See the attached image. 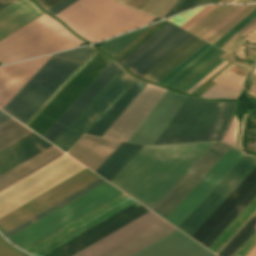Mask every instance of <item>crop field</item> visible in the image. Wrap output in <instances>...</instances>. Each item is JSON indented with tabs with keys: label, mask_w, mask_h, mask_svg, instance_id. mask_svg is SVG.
Here are the masks:
<instances>
[{
	"label": "crop field",
	"mask_w": 256,
	"mask_h": 256,
	"mask_svg": "<svg viewBox=\"0 0 256 256\" xmlns=\"http://www.w3.org/2000/svg\"><path fill=\"white\" fill-rule=\"evenodd\" d=\"M214 143L143 147L110 183L152 210Z\"/></svg>",
	"instance_id": "obj_1"
},
{
	"label": "crop field",
	"mask_w": 256,
	"mask_h": 256,
	"mask_svg": "<svg viewBox=\"0 0 256 256\" xmlns=\"http://www.w3.org/2000/svg\"><path fill=\"white\" fill-rule=\"evenodd\" d=\"M56 17L92 43L147 25L156 19L113 0H79Z\"/></svg>",
	"instance_id": "obj_2"
},
{
	"label": "crop field",
	"mask_w": 256,
	"mask_h": 256,
	"mask_svg": "<svg viewBox=\"0 0 256 256\" xmlns=\"http://www.w3.org/2000/svg\"><path fill=\"white\" fill-rule=\"evenodd\" d=\"M235 103L186 96L153 145L221 140Z\"/></svg>",
	"instance_id": "obj_3"
},
{
	"label": "crop field",
	"mask_w": 256,
	"mask_h": 256,
	"mask_svg": "<svg viewBox=\"0 0 256 256\" xmlns=\"http://www.w3.org/2000/svg\"><path fill=\"white\" fill-rule=\"evenodd\" d=\"M93 49L53 55L2 110L24 124Z\"/></svg>",
	"instance_id": "obj_4"
},
{
	"label": "crop field",
	"mask_w": 256,
	"mask_h": 256,
	"mask_svg": "<svg viewBox=\"0 0 256 256\" xmlns=\"http://www.w3.org/2000/svg\"><path fill=\"white\" fill-rule=\"evenodd\" d=\"M83 43L45 14L0 42V63L75 48Z\"/></svg>",
	"instance_id": "obj_5"
},
{
	"label": "crop field",
	"mask_w": 256,
	"mask_h": 256,
	"mask_svg": "<svg viewBox=\"0 0 256 256\" xmlns=\"http://www.w3.org/2000/svg\"><path fill=\"white\" fill-rule=\"evenodd\" d=\"M120 193L105 182L7 239L24 250Z\"/></svg>",
	"instance_id": "obj_6"
},
{
	"label": "crop field",
	"mask_w": 256,
	"mask_h": 256,
	"mask_svg": "<svg viewBox=\"0 0 256 256\" xmlns=\"http://www.w3.org/2000/svg\"><path fill=\"white\" fill-rule=\"evenodd\" d=\"M111 61L98 51L28 127L42 136Z\"/></svg>",
	"instance_id": "obj_7"
},
{
	"label": "crop field",
	"mask_w": 256,
	"mask_h": 256,
	"mask_svg": "<svg viewBox=\"0 0 256 256\" xmlns=\"http://www.w3.org/2000/svg\"><path fill=\"white\" fill-rule=\"evenodd\" d=\"M133 79L121 68L52 144L67 152Z\"/></svg>",
	"instance_id": "obj_8"
},
{
	"label": "crop field",
	"mask_w": 256,
	"mask_h": 256,
	"mask_svg": "<svg viewBox=\"0 0 256 256\" xmlns=\"http://www.w3.org/2000/svg\"><path fill=\"white\" fill-rule=\"evenodd\" d=\"M191 35L168 22L120 62L140 77Z\"/></svg>",
	"instance_id": "obj_9"
},
{
	"label": "crop field",
	"mask_w": 256,
	"mask_h": 256,
	"mask_svg": "<svg viewBox=\"0 0 256 256\" xmlns=\"http://www.w3.org/2000/svg\"><path fill=\"white\" fill-rule=\"evenodd\" d=\"M98 178L100 177L87 169L80 172L74 177L1 218L0 232L3 234L9 231Z\"/></svg>",
	"instance_id": "obj_10"
},
{
	"label": "crop field",
	"mask_w": 256,
	"mask_h": 256,
	"mask_svg": "<svg viewBox=\"0 0 256 256\" xmlns=\"http://www.w3.org/2000/svg\"><path fill=\"white\" fill-rule=\"evenodd\" d=\"M245 156L232 147L165 220L178 228Z\"/></svg>",
	"instance_id": "obj_11"
},
{
	"label": "crop field",
	"mask_w": 256,
	"mask_h": 256,
	"mask_svg": "<svg viewBox=\"0 0 256 256\" xmlns=\"http://www.w3.org/2000/svg\"><path fill=\"white\" fill-rule=\"evenodd\" d=\"M148 212L136 202L45 256H73Z\"/></svg>",
	"instance_id": "obj_12"
},
{
	"label": "crop field",
	"mask_w": 256,
	"mask_h": 256,
	"mask_svg": "<svg viewBox=\"0 0 256 256\" xmlns=\"http://www.w3.org/2000/svg\"><path fill=\"white\" fill-rule=\"evenodd\" d=\"M230 148L216 142L152 211L165 219Z\"/></svg>",
	"instance_id": "obj_13"
},
{
	"label": "crop field",
	"mask_w": 256,
	"mask_h": 256,
	"mask_svg": "<svg viewBox=\"0 0 256 256\" xmlns=\"http://www.w3.org/2000/svg\"><path fill=\"white\" fill-rule=\"evenodd\" d=\"M255 166L256 159L247 155L178 229L191 236Z\"/></svg>",
	"instance_id": "obj_14"
},
{
	"label": "crop field",
	"mask_w": 256,
	"mask_h": 256,
	"mask_svg": "<svg viewBox=\"0 0 256 256\" xmlns=\"http://www.w3.org/2000/svg\"><path fill=\"white\" fill-rule=\"evenodd\" d=\"M165 91L148 84L102 137L127 142Z\"/></svg>",
	"instance_id": "obj_15"
},
{
	"label": "crop field",
	"mask_w": 256,
	"mask_h": 256,
	"mask_svg": "<svg viewBox=\"0 0 256 256\" xmlns=\"http://www.w3.org/2000/svg\"><path fill=\"white\" fill-rule=\"evenodd\" d=\"M183 98L184 95L167 90L128 142L152 145Z\"/></svg>",
	"instance_id": "obj_16"
},
{
	"label": "crop field",
	"mask_w": 256,
	"mask_h": 256,
	"mask_svg": "<svg viewBox=\"0 0 256 256\" xmlns=\"http://www.w3.org/2000/svg\"><path fill=\"white\" fill-rule=\"evenodd\" d=\"M51 56L0 67V108L1 109L27 83V81L44 65V63Z\"/></svg>",
	"instance_id": "obj_17"
},
{
	"label": "crop field",
	"mask_w": 256,
	"mask_h": 256,
	"mask_svg": "<svg viewBox=\"0 0 256 256\" xmlns=\"http://www.w3.org/2000/svg\"><path fill=\"white\" fill-rule=\"evenodd\" d=\"M120 68L112 61L42 137L52 143Z\"/></svg>",
	"instance_id": "obj_18"
},
{
	"label": "crop field",
	"mask_w": 256,
	"mask_h": 256,
	"mask_svg": "<svg viewBox=\"0 0 256 256\" xmlns=\"http://www.w3.org/2000/svg\"><path fill=\"white\" fill-rule=\"evenodd\" d=\"M208 251L177 230L133 256L213 255Z\"/></svg>",
	"instance_id": "obj_19"
},
{
	"label": "crop field",
	"mask_w": 256,
	"mask_h": 256,
	"mask_svg": "<svg viewBox=\"0 0 256 256\" xmlns=\"http://www.w3.org/2000/svg\"><path fill=\"white\" fill-rule=\"evenodd\" d=\"M120 144V142L84 135L68 155L95 172Z\"/></svg>",
	"instance_id": "obj_20"
},
{
	"label": "crop field",
	"mask_w": 256,
	"mask_h": 256,
	"mask_svg": "<svg viewBox=\"0 0 256 256\" xmlns=\"http://www.w3.org/2000/svg\"><path fill=\"white\" fill-rule=\"evenodd\" d=\"M44 13L29 0H17L0 11V41Z\"/></svg>",
	"instance_id": "obj_21"
},
{
	"label": "crop field",
	"mask_w": 256,
	"mask_h": 256,
	"mask_svg": "<svg viewBox=\"0 0 256 256\" xmlns=\"http://www.w3.org/2000/svg\"><path fill=\"white\" fill-rule=\"evenodd\" d=\"M160 220L150 212L74 256H100Z\"/></svg>",
	"instance_id": "obj_22"
},
{
	"label": "crop field",
	"mask_w": 256,
	"mask_h": 256,
	"mask_svg": "<svg viewBox=\"0 0 256 256\" xmlns=\"http://www.w3.org/2000/svg\"><path fill=\"white\" fill-rule=\"evenodd\" d=\"M50 146L52 145L32 133L0 151V175Z\"/></svg>",
	"instance_id": "obj_23"
},
{
	"label": "crop field",
	"mask_w": 256,
	"mask_h": 256,
	"mask_svg": "<svg viewBox=\"0 0 256 256\" xmlns=\"http://www.w3.org/2000/svg\"><path fill=\"white\" fill-rule=\"evenodd\" d=\"M206 43L192 35L141 77L157 83Z\"/></svg>",
	"instance_id": "obj_24"
},
{
	"label": "crop field",
	"mask_w": 256,
	"mask_h": 256,
	"mask_svg": "<svg viewBox=\"0 0 256 256\" xmlns=\"http://www.w3.org/2000/svg\"><path fill=\"white\" fill-rule=\"evenodd\" d=\"M175 230L162 220L101 256H131Z\"/></svg>",
	"instance_id": "obj_25"
},
{
	"label": "crop field",
	"mask_w": 256,
	"mask_h": 256,
	"mask_svg": "<svg viewBox=\"0 0 256 256\" xmlns=\"http://www.w3.org/2000/svg\"><path fill=\"white\" fill-rule=\"evenodd\" d=\"M146 85L136 79L86 134L101 137Z\"/></svg>",
	"instance_id": "obj_26"
},
{
	"label": "crop field",
	"mask_w": 256,
	"mask_h": 256,
	"mask_svg": "<svg viewBox=\"0 0 256 256\" xmlns=\"http://www.w3.org/2000/svg\"><path fill=\"white\" fill-rule=\"evenodd\" d=\"M61 152L52 146L45 151L39 153L38 155L34 156L33 158L27 160L26 162L20 164L19 166L13 168L7 173L1 175L0 191L14 184L15 182L19 181L30 173L36 171L37 169L41 168L52 160L63 155V153Z\"/></svg>",
	"instance_id": "obj_27"
},
{
	"label": "crop field",
	"mask_w": 256,
	"mask_h": 256,
	"mask_svg": "<svg viewBox=\"0 0 256 256\" xmlns=\"http://www.w3.org/2000/svg\"><path fill=\"white\" fill-rule=\"evenodd\" d=\"M255 182H256V168L235 189V191L218 207V209L200 226V228L191 237H193L194 239L200 242L206 236V234L220 221V219L234 206V204L249 190V188Z\"/></svg>",
	"instance_id": "obj_28"
},
{
	"label": "crop field",
	"mask_w": 256,
	"mask_h": 256,
	"mask_svg": "<svg viewBox=\"0 0 256 256\" xmlns=\"http://www.w3.org/2000/svg\"><path fill=\"white\" fill-rule=\"evenodd\" d=\"M141 148L122 143L95 173L110 182Z\"/></svg>",
	"instance_id": "obj_29"
},
{
	"label": "crop field",
	"mask_w": 256,
	"mask_h": 256,
	"mask_svg": "<svg viewBox=\"0 0 256 256\" xmlns=\"http://www.w3.org/2000/svg\"><path fill=\"white\" fill-rule=\"evenodd\" d=\"M243 77L229 72L200 97L207 99L232 98L237 99L243 89Z\"/></svg>",
	"instance_id": "obj_30"
},
{
	"label": "crop field",
	"mask_w": 256,
	"mask_h": 256,
	"mask_svg": "<svg viewBox=\"0 0 256 256\" xmlns=\"http://www.w3.org/2000/svg\"><path fill=\"white\" fill-rule=\"evenodd\" d=\"M222 52L223 51H221L220 49L212 46L202 55L200 54L201 56H199L196 60H194L191 64H189L166 84H164V86L176 89Z\"/></svg>",
	"instance_id": "obj_31"
},
{
	"label": "crop field",
	"mask_w": 256,
	"mask_h": 256,
	"mask_svg": "<svg viewBox=\"0 0 256 256\" xmlns=\"http://www.w3.org/2000/svg\"><path fill=\"white\" fill-rule=\"evenodd\" d=\"M256 196V183L236 203V205L221 219V221L200 242L206 248L228 226V224L242 211V209Z\"/></svg>",
	"instance_id": "obj_32"
},
{
	"label": "crop field",
	"mask_w": 256,
	"mask_h": 256,
	"mask_svg": "<svg viewBox=\"0 0 256 256\" xmlns=\"http://www.w3.org/2000/svg\"><path fill=\"white\" fill-rule=\"evenodd\" d=\"M30 133L32 132L16 122L14 119L11 118L7 120L0 125V150Z\"/></svg>",
	"instance_id": "obj_33"
},
{
	"label": "crop field",
	"mask_w": 256,
	"mask_h": 256,
	"mask_svg": "<svg viewBox=\"0 0 256 256\" xmlns=\"http://www.w3.org/2000/svg\"><path fill=\"white\" fill-rule=\"evenodd\" d=\"M105 182L101 178L94 181L93 183L89 184L88 186L82 188L81 190L77 191L76 193L70 195L69 197L65 198L64 200L58 202L57 204L53 205L52 207L46 209L45 211L39 213L38 215L34 216L33 218L27 220L26 222L22 223L21 225L15 227L14 229L10 230L9 232L3 234L6 238L13 235L14 233L20 231L21 229L25 228L26 226L32 224L33 222L39 220L40 218L46 216L47 214L53 212L54 210L58 209L59 207L65 205L66 203L72 201L73 199L79 197L80 195L86 193L87 191L91 190L92 188L98 186L99 184Z\"/></svg>",
	"instance_id": "obj_34"
},
{
	"label": "crop field",
	"mask_w": 256,
	"mask_h": 256,
	"mask_svg": "<svg viewBox=\"0 0 256 256\" xmlns=\"http://www.w3.org/2000/svg\"><path fill=\"white\" fill-rule=\"evenodd\" d=\"M149 27H145L134 32L125 34L123 36L108 40L99 48L106 52L108 55L113 57L124 47H126L129 43H131L135 38H137L140 34H142L145 30H147Z\"/></svg>",
	"instance_id": "obj_35"
},
{
	"label": "crop field",
	"mask_w": 256,
	"mask_h": 256,
	"mask_svg": "<svg viewBox=\"0 0 256 256\" xmlns=\"http://www.w3.org/2000/svg\"><path fill=\"white\" fill-rule=\"evenodd\" d=\"M255 230H256V220L253 218L218 256H232V254L245 242V240Z\"/></svg>",
	"instance_id": "obj_36"
},
{
	"label": "crop field",
	"mask_w": 256,
	"mask_h": 256,
	"mask_svg": "<svg viewBox=\"0 0 256 256\" xmlns=\"http://www.w3.org/2000/svg\"><path fill=\"white\" fill-rule=\"evenodd\" d=\"M255 7H256V4L248 5L234 19H232L229 23H227L224 27H222L219 31H217L214 35H212L209 39H207V41L213 44L221 36H223L227 31H229L232 27H234L237 23H239L242 19H244L250 12H252L255 9Z\"/></svg>",
	"instance_id": "obj_37"
},
{
	"label": "crop field",
	"mask_w": 256,
	"mask_h": 256,
	"mask_svg": "<svg viewBox=\"0 0 256 256\" xmlns=\"http://www.w3.org/2000/svg\"><path fill=\"white\" fill-rule=\"evenodd\" d=\"M97 52L93 50L88 57L74 70V72L60 85V87L45 101V103L31 116V118L25 123L29 125L34 118L48 105V103L62 90V88L77 74V72L91 59V57Z\"/></svg>",
	"instance_id": "obj_38"
},
{
	"label": "crop field",
	"mask_w": 256,
	"mask_h": 256,
	"mask_svg": "<svg viewBox=\"0 0 256 256\" xmlns=\"http://www.w3.org/2000/svg\"><path fill=\"white\" fill-rule=\"evenodd\" d=\"M256 17V9L250 13L244 20H242L239 24H237L234 28H232L228 33H226L222 38H220L213 45L217 47H221L226 41H228L236 32H238L242 27H244L248 22Z\"/></svg>",
	"instance_id": "obj_39"
},
{
	"label": "crop field",
	"mask_w": 256,
	"mask_h": 256,
	"mask_svg": "<svg viewBox=\"0 0 256 256\" xmlns=\"http://www.w3.org/2000/svg\"><path fill=\"white\" fill-rule=\"evenodd\" d=\"M224 60L218 58L212 64H210L207 68H205L202 72H200L196 77H194L191 81H189L186 85H184L179 91L186 92L192 86H194L197 82H199L202 78H204L207 74H209L212 70H214L217 66H219Z\"/></svg>",
	"instance_id": "obj_40"
},
{
	"label": "crop field",
	"mask_w": 256,
	"mask_h": 256,
	"mask_svg": "<svg viewBox=\"0 0 256 256\" xmlns=\"http://www.w3.org/2000/svg\"><path fill=\"white\" fill-rule=\"evenodd\" d=\"M228 7H230V6L219 5L212 12H210L207 16H205L202 20H200L196 25H194L191 29H189L188 31L195 34L202 27H204L207 23H209L211 20H213L215 17H217L220 13H222L224 10H226Z\"/></svg>",
	"instance_id": "obj_41"
},
{
	"label": "crop field",
	"mask_w": 256,
	"mask_h": 256,
	"mask_svg": "<svg viewBox=\"0 0 256 256\" xmlns=\"http://www.w3.org/2000/svg\"><path fill=\"white\" fill-rule=\"evenodd\" d=\"M240 6H231L226 11H224L222 14H220L217 18H215L213 21H211L209 24H207L204 28H202L197 35L198 37L204 36L207 32H209L212 28H214L217 24H219L222 20H224L227 16H229L233 11H235Z\"/></svg>",
	"instance_id": "obj_42"
},
{
	"label": "crop field",
	"mask_w": 256,
	"mask_h": 256,
	"mask_svg": "<svg viewBox=\"0 0 256 256\" xmlns=\"http://www.w3.org/2000/svg\"><path fill=\"white\" fill-rule=\"evenodd\" d=\"M210 44L204 45L201 49H199L196 53H194L191 57H189L186 61H184L180 66H178L175 70H173L170 74H168L165 78H163L158 84L163 85L170 78H172L175 74H177L180 70H182L185 66H187L190 62H192L195 58H197L200 54H202L205 50H207Z\"/></svg>",
	"instance_id": "obj_43"
},
{
	"label": "crop field",
	"mask_w": 256,
	"mask_h": 256,
	"mask_svg": "<svg viewBox=\"0 0 256 256\" xmlns=\"http://www.w3.org/2000/svg\"><path fill=\"white\" fill-rule=\"evenodd\" d=\"M237 128H238V121L236 119V116L234 114L230 125L228 127V130L224 136V138L222 139L223 142L229 143L233 146L236 147L235 145V140H236V134H237Z\"/></svg>",
	"instance_id": "obj_44"
},
{
	"label": "crop field",
	"mask_w": 256,
	"mask_h": 256,
	"mask_svg": "<svg viewBox=\"0 0 256 256\" xmlns=\"http://www.w3.org/2000/svg\"><path fill=\"white\" fill-rule=\"evenodd\" d=\"M200 0H178L175 5L169 10L165 17L181 12L195 6ZM164 17V18H165Z\"/></svg>",
	"instance_id": "obj_45"
},
{
	"label": "crop field",
	"mask_w": 256,
	"mask_h": 256,
	"mask_svg": "<svg viewBox=\"0 0 256 256\" xmlns=\"http://www.w3.org/2000/svg\"><path fill=\"white\" fill-rule=\"evenodd\" d=\"M177 0H161L150 12V14L163 18L168 10L174 5Z\"/></svg>",
	"instance_id": "obj_46"
},
{
	"label": "crop field",
	"mask_w": 256,
	"mask_h": 256,
	"mask_svg": "<svg viewBox=\"0 0 256 256\" xmlns=\"http://www.w3.org/2000/svg\"><path fill=\"white\" fill-rule=\"evenodd\" d=\"M0 256H28L7 243L0 236Z\"/></svg>",
	"instance_id": "obj_47"
},
{
	"label": "crop field",
	"mask_w": 256,
	"mask_h": 256,
	"mask_svg": "<svg viewBox=\"0 0 256 256\" xmlns=\"http://www.w3.org/2000/svg\"><path fill=\"white\" fill-rule=\"evenodd\" d=\"M216 6H206L203 8L199 13H197L194 17H192L189 21H187L181 28L188 30L191 28L195 23H197L200 19H202L205 15H207L211 10H213Z\"/></svg>",
	"instance_id": "obj_48"
},
{
	"label": "crop field",
	"mask_w": 256,
	"mask_h": 256,
	"mask_svg": "<svg viewBox=\"0 0 256 256\" xmlns=\"http://www.w3.org/2000/svg\"><path fill=\"white\" fill-rule=\"evenodd\" d=\"M205 7V6H204ZM203 7L194 9L192 11H189L187 13L178 15L176 17L168 19L170 22L174 23L177 26L183 25L187 20H189L192 16H194L197 12H199Z\"/></svg>",
	"instance_id": "obj_49"
},
{
	"label": "crop field",
	"mask_w": 256,
	"mask_h": 256,
	"mask_svg": "<svg viewBox=\"0 0 256 256\" xmlns=\"http://www.w3.org/2000/svg\"><path fill=\"white\" fill-rule=\"evenodd\" d=\"M246 6H241L234 13H232L229 17H227L224 21H222L219 25H217L214 29H212L209 33H207L202 39L206 40L212 34H214L217 30H219L222 26H224L227 22H229L232 18H234L241 10H243Z\"/></svg>",
	"instance_id": "obj_50"
},
{
	"label": "crop field",
	"mask_w": 256,
	"mask_h": 256,
	"mask_svg": "<svg viewBox=\"0 0 256 256\" xmlns=\"http://www.w3.org/2000/svg\"><path fill=\"white\" fill-rule=\"evenodd\" d=\"M255 18H256V17H255ZM255 20H256V19H255ZM255 20H253V21H255ZM253 21H252V22H253ZM252 22H251V23H252ZM251 23H250V24H251ZM252 24H253V23H252ZM252 24H251V25H252ZM248 25H249V24H248ZM248 25H247V26H248ZM251 25H250V26H251ZM247 26H246V27H247ZM250 26H248L247 28H249ZM246 27H244V28H246ZM244 28H243V29H244ZM247 28H246V29H247ZM243 29H242V30H243ZM246 29H245V30H246ZM242 30H240L238 33H240ZM245 30H243L242 32H244ZM242 32H241V33H242ZM238 33H236L231 39H233ZM241 33H240V34H241ZM240 34H238L237 36H239ZM237 36H236V37H237ZM236 37H235V38H236ZM235 38H234V39H235ZM242 38H243V36L240 35L239 37H237V38L235 39L234 42H233L234 39H233L232 41H230V40H231V39H230V40H229L230 42H229V41H228L229 43L226 42V43L221 47V49L228 43V44L223 48V50H224L227 46H229V45L233 42L229 47H227V48L225 49V51L230 52V51L240 42V40H241Z\"/></svg>",
	"instance_id": "obj_51"
},
{
	"label": "crop field",
	"mask_w": 256,
	"mask_h": 256,
	"mask_svg": "<svg viewBox=\"0 0 256 256\" xmlns=\"http://www.w3.org/2000/svg\"><path fill=\"white\" fill-rule=\"evenodd\" d=\"M77 0H64L61 3H59L58 5H56L55 7H53L52 9H50L49 13H51L52 15H57L58 13H60L61 11H63L65 8H67L68 6H70L71 4H73L74 2H76Z\"/></svg>",
	"instance_id": "obj_52"
},
{
	"label": "crop field",
	"mask_w": 256,
	"mask_h": 256,
	"mask_svg": "<svg viewBox=\"0 0 256 256\" xmlns=\"http://www.w3.org/2000/svg\"><path fill=\"white\" fill-rule=\"evenodd\" d=\"M46 11L62 0H35Z\"/></svg>",
	"instance_id": "obj_53"
},
{
	"label": "crop field",
	"mask_w": 256,
	"mask_h": 256,
	"mask_svg": "<svg viewBox=\"0 0 256 256\" xmlns=\"http://www.w3.org/2000/svg\"><path fill=\"white\" fill-rule=\"evenodd\" d=\"M228 62L222 63L218 68H216L213 72H211L207 77H205L202 81H200L198 84H196L193 88H191L187 93L193 92L196 88H198L201 84H203L206 80H208L211 76H213L216 72H218L221 68H223Z\"/></svg>",
	"instance_id": "obj_54"
},
{
	"label": "crop field",
	"mask_w": 256,
	"mask_h": 256,
	"mask_svg": "<svg viewBox=\"0 0 256 256\" xmlns=\"http://www.w3.org/2000/svg\"><path fill=\"white\" fill-rule=\"evenodd\" d=\"M247 114L244 115L242 121H241V127H240V134H239V141H238V147L243 150L242 145H241V141H242V137H243V133H244V126H245V118H246Z\"/></svg>",
	"instance_id": "obj_55"
},
{
	"label": "crop field",
	"mask_w": 256,
	"mask_h": 256,
	"mask_svg": "<svg viewBox=\"0 0 256 256\" xmlns=\"http://www.w3.org/2000/svg\"><path fill=\"white\" fill-rule=\"evenodd\" d=\"M245 41L244 40H242L236 47H235V49L231 52V53H234V51H236L243 43H244ZM243 46H241L237 51H236V53H235V55H237L239 58H241V59H244L245 58V56H244V53L243 52H241L242 50H243ZM230 53V54H231Z\"/></svg>",
	"instance_id": "obj_56"
},
{
	"label": "crop field",
	"mask_w": 256,
	"mask_h": 256,
	"mask_svg": "<svg viewBox=\"0 0 256 256\" xmlns=\"http://www.w3.org/2000/svg\"><path fill=\"white\" fill-rule=\"evenodd\" d=\"M234 65H230L228 68H226L218 77L214 79V81H218L220 78H222L230 69H232Z\"/></svg>",
	"instance_id": "obj_57"
},
{
	"label": "crop field",
	"mask_w": 256,
	"mask_h": 256,
	"mask_svg": "<svg viewBox=\"0 0 256 256\" xmlns=\"http://www.w3.org/2000/svg\"><path fill=\"white\" fill-rule=\"evenodd\" d=\"M15 0H0V9L14 2ZM1 11V10H0Z\"/></svg>",
	"instance_id": "obj_58"
},
{
	"label": "crop field",
	"mask_w": 256,
	"mask_h": 256,
	"mask_svg": "<svg viewBox=\"0 0 256 256\" xmlns=\"http://www.w3.org/2000/svg\"><path fill=\"white\" fill-rule=\"evenodd\" d=\"M245 39H248V40H251V41H255L256 40V32L255 31H253V32H251L250 34H248L246 37H245Z\"/></svg>",
	"instance_id": "obj_59"
},
{
	"label": "crop field",
	"mask_w": 256,
	"mask_h": 256,
	"mask_svg": "<svg viewBox=\"0 0 256 256\" xmlns=\"http://www.w3.org/2000/svg\"><path fill=\"white\" fill-rule=\"evenodd\" d=\"M9 118H11V117H9L8 115H6V114H4L3 112L0 111V123L6 121Z\"/></svg>",
	"instance_id": "obj_60"
},
{
	"label": "crop field",
	"mask_w": 256,
	"mask_h": 256,
	"mask_svg": "<svg viewBox=\"0 0 256 256\" xmlns=\"http://www.w3.org/2000/svg\"><path fill=\"white\" fill-rule=\"evenodd\" d=\"M254 29H256V22L248 30H246L244 33H242V35L245 36L248 33H250L251 31H253Z\"/></svg>",
	"instance_id": "obj_61"
},
{
	"label": "crop field",
	"mask_w": 256,
	"mask_h": 256,
	"mask_svg": "<svg viewBox=\"0 0 256 256\" xmlns=\"http://www.w3.org/2000/svg\"><path fill=\"white\" fill-rule=\"evenodd\" d=\"M160 0H154L153 3L145 10V12L149 13V11L159 2Z\"/></svg>",
	"instance_id": "obj_62"
},
{
	"label": "crop field",
	"mask_w": 256,
	"mask_h": 256,
	"mask_svg": "<svg viewBox=\"0 0 256 256\" xmlns=\"http://www.w3.org/2000/svg\"><path fill=\"white\" fill-rule=\"evenodd\" d=\"M253 83H254V85H253V87H252V89L250 91L251 93H254V91L256 90V77H255Z\"/></svg>",
	"instance_id": "obj_63"
},
{
	"label": "crop field",
	"mask_w": 256,
	"mask_h": 256,
	"mask_svg": "<svg viewBox=\"0 0 256 256\" xmlns=\"http://www.w3.org/2000/svg\"><path fill=\"white\" fill-rule=\"evenodd\" d=\"M144 1H145V0H140L137 4H135V5L133 6V8L137 9L138 6H139L142 2H144Z\"/></svg>",
	"instance_id": "obj_64"
},
{
	"label": "crop field",
	"mask_w": 256,
	"mask_h": 256,
	"mask_svg": "<svg viewBox=\"0 0 256 256\" xmlns=\"http://www.w3.org/2000/svg\"><path fill=\"white\" fill-rule=\"evenodd\" d=\"M256 2V0H243L241 3H253Z\"/></svg>",
	"instance_id": "obj_65"
},
{
	"label": "crop field",
	"mask_w": 256,
	"mask_h": 256,
	"mask_svg": "<svg viewBox=\"0 0 256 256\" xmlns=\"http://www.w3.org/2000/svg\"><path fill=\"white\" fill-rule=\"evenodd\" d=\"M225 1H226V0H220L218 3H225ZM232 1H234V0H227L226 3H231Z\"/></svg>",
	"instance_id": "obj_66"
},
{
	"label": "crop field",
	"mask_w": 256,
	"mask_h": 256,
	"mask_svg": "<svg viewBox=\"0 0 256 256\" xmlns=\"http://www.w3.org/2000/svg\"><path fill=\"white\" fill-rule=\"evenodd\" d=\"M255 74H256V69H255V71L253 72V74L251 75L250 82H252V80H253ZM250 82H249V83H250Z\"/></svg>",
	"instance_id": "obj_67"
},
{
	"label": "crop field",
	"mask_w": 256,
	"mask_h": 256,
	"mask_svg": "<svg viewBox=\"0 0 256 256\" xmlns=\"http://www.w3.org/2000/svg\"><path fill=\"white\" fill-rule=\"evenodd\" d=\"M150 1H151V0H148V1L144 4V6H143L141 9H143ZM141 9H140V10H141Z\"/></svg>",
	"instance_id": "obj_68"
},
{
	"label": "crop field",
	"mask_w": 256,
	"mask_h": 256,
	"mask_svg": "<svg viewBox=\"0 0 256 256\" xmlns=\"http://www.w3.org/2000/svg\"><path fill=\"white\" fill-rule=\"evenodd\" d=\"M152 1L142 11H144L152 3Z\"/></svg>",
	"instance_id": "obj_69"
},
{
	"label": "crop field",
	"mask_w": 256,
	"mask_h": 256,
	"mask_svg": "<svg viewBox=\"0 0 256 256\" xmlns=\"http://www.w3.org/2000/svg\"><path fill=\"white\" fill-rule=\"evenodd\" d=\"M242 0H237L235 3H240Z\"/></svg>",
	"instance_id": "obj_70"
},
{
	"label": "crop field",
	"mask_w": 256,
	"mask_h": 256,
	"mask_svg": "<svg viewBox=\"0 0 256 256\" xmlns=\"http://www.w3.org/2000/svg\"><path fill=\"white\" fill-rule=\"evenodd\" d=\"M139 0H137L136 2H138ZM136 2H134L132 5H131V7L136 3Z\"/></svg>",
	"instance_id": "obj_71"
},
{
	"label": "crop field",
	"mask_w": 256,
	"mask_h": 256,
	"mask_svg": "<svg viewBox=\"0 0 256 256\" xmlns=\"http://www.w3.org/2000/svg\"><path fill=\"white\" fill-rule=\"evenodd\" d=\"M128 1H129V0H126V1L124 2V4H126Z\"/></svg>",
	"instance_id": "obj_72"
},
{
	"label": "crop field",
	"mask_w": 256,
	"mask_h": 256,
	"mask_svg": "<svg viewBox=\"0 0 256 256\" xmlns=\"http://www.w3.org/2000/svg\"><path fill=\"white\" fill-rule=\"evenodd\" d=\"M124 1H125V0H121L120 2H122V3H123Z\"/></svg>",
	"instance_id": "obj_73"
},
{
	"label": "crop field",
	"mask_w": 256,
	"mask_h": 256,
	"mask_svg": "<svg viewBox=\"0 0 256 256\" xmlns=\"http://www.w3.org/2000/svg\"><path fill=\"white\" fill-rule=\"evenodd\" d=\"M118 1H120V0H118Z\"/></svg>",
	"instance_id": "obj_74"
},
{
	"label": "crop field",
	"mask_w": 256,
	"mask_h": 256,
	"mask_svg": "<svg viewBox=\"0 0 256 256\" xmlns=\"http://www.w3.org/2000/svg\"><path fill=\"white\" fill-rule=\"evenodd\" d=\"M255 94H256V92H255Z\"/></svg>",
	"instance_id": "obj_75"
},
{
	"label": "crop field",
	"mask_w": 256,
	"mask_h": 256,
	"mask_svg": "<svg viewBox=\"0 0 256 256\" xmlns=\"http://www.w3.org/2000/svg\"><path fill=\"white\" fill-rule=\"evenodd\" d=\"M214 256V255H213Z\"/></svg>",
	"instance_id": "obj_76"
}]
</instances>
